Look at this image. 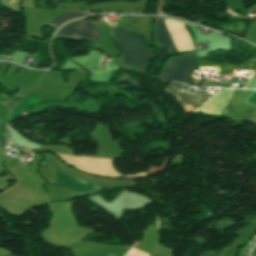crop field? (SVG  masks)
I'll list each match as a JSON object with an SVG mask.
<instances>
[{"instance_id":"crop-field-10","label":"crop field","mask_w":256,"mask_h":256,"mask_svg":"<svg viewBox=\"0 0 256 256\" xmlns=\"http://www.w3.org/2000/svg\"><path fill=\"white\" fill-rule=\"evenodd\" d=\"M6 142V124L0 121V143L4 145Z\"/></svg>"},{"instance_id":"crop-field-4","label":"crop field","mask_w":256,"mask_h":256,"mask_svg":"<svg viewBox=\"0 0 256 256\" xmlns=\"http://www.w3.org/2000/svg\"><path fill=\"white\" fill-rule=\"evenodd\" d=\"M52 173H53L54 182L63 184L65 186L75 190L80 195L86 194L89 192H93L100 188V187L92 185L90 183H87V182L78 180L76 178L67 176L65 174H62L58 171L52 170Z\"/></svg>"},{"instance_id":"crop-field-3","label":"crop field","mask_w":256,"mask_h":256,"mask_svg":"<svg viewBox=\"0 0 256 256\" xmlns=\"http://www.w3.org/2000/svg\"><path fill=\"white\" fill-rule=\"evenodd\" d=\"M186 87L187 86L181 85L179 83H172L164 91L174 96L177 102L183 108L191 105L194 111L214 97V96L194 95V94L184 93L183 91L185 90Z\"/></svg>"},{"instance_id":"crop-field-2","label":"crop field","mask_w":256,"mask_h":256,"mask_svg":"<svg viewBox=\"0 0 256 256\" xmlns=\"http://www.w3.org/2000/svg\"><path fill=\"white\" fill-rule=\"evenodd\" d=\"M195 67L194 57L173 60L166 67L161 81H178L186 84Z\"/></svg>"},{"instance_id":"crop-field-6","label":"crop field","mask_w":256,"mask_h":256,"mask_svg":"<svg viewBox=\"0 0 256 256\" xmlns=\"http://www.w3.org/2000/svg\"><path fill=\"white\" fill-rule=\"evenodd\" d=\"M156 37L161 43L166 44L175 50V46L172 40V36L166 18H157Z\"/></svg>"},{"instance_id":"crop-field-13","label":"crop field","mask_w":256,"mask_h":256,"mask_svg":"<svg viewBox=\"0 0 256 256\" xmlns=\"http://www.w3.org/2000/svg\"><path fill=\"white\" fill-rule=\"evenodd\" d=\"M8 256H11V255H8Z\"/></svg>"},{"instance_id":"crop-field-12","label":"crop field","mask_w":256,"mask_h":256,"mask_svg":"<svg viewBox=\"0 0 256 256\" xmlns=\"http://www.w3.org/2000/svg\"><path fill=\"white\" fill-rule=\"evenodd\" d=\"M13 1H14V0H12V1L10 2V4H12ZM15 1H16V0H15ZM15 1H14V2H15ZM14 2H13V4H14Z\"/></svg>"},{"instance_id":"crop-field-1","label":"crop field","mask_w":256,"mask_h":256,"mask_svg":"<svg viewBox=\"0 0 256 256\" xmlns=\"http://www.w3.org/2000/svg\"><path fill=\"white\" fill-rule=\"evenodd\" d=\"M139 37L138 32L114 28L113 38L125 53L126 65L146 72L152 52Z\"/></svg>"},{"instance_id":"crop-field-11","label":"crop field","mask_w":256,"mask_h":256,"mask_svg":"<svg viewBox=\"0 0 256 256\" xmlns=\"http://www.w3.org/2000/svg\"><path fill=\"white\" fill-rule=\"evenodd\" d=\"M127 254L130 256H149L147 253L137 250L135 248L131 249L129 252H127Z\"/></svg>"},{"instance_id":"crop-field-7","label":"crop field","mask_w":256,"mask_h":256,"mask_svg":"<svg viewBox=\"0 0 256 256\" xmlns=\"http://www.w3.org/2000/svg\"><path fill=\"white\" fill-rule=\"evenodd\" d=\"M41 100L27 94L22 100L21 102L14 108V110L11 112L10 116H9V120H13L14 118H16L18 115H20L21 113H23L25 111V109L35 103H39Z\"/></svg>"},{"instance_id":"crop-field-9","label":"crop field","mask_w":256,"mask_h":256,"mask_svg":"<svg viewBox=\"0 0 256 256\" xmlns=\"http://www.w3.org/2000/svg\"><path fill=\"white\" fill-rule=\"evenodd\" d=\"M28 91V89L19 88L18 92L12 96L9 100L2 102L4 105H6L9 109V111L12 109V107L19 101V99Z\"/></svg>"},{"instance_id":"crop-field-8","label":"crop field","mask_w":256,"mask_h":256,"mask_svg":"<svg viewBox=\"0 0 256 256\" xmlns=\"http://www.w3.org/2000/svg\"><path fill=\"white\" fill-rule=\"evenodd\" d=\"M85 15H89V14H82V13H77V12H68V13L60 15V16L56 17L55 19H53L49 23V25L57 28L62 23L66 22V21H68L70 19L81 17V16H85Z\"/></svg>"},{"instance_id":"crop-field-5","label":"crop field","mask_w":256,"mask_h":256,"mask_svg":"<svg viewBox=\"0 0 256 256\" xmlns=\"http://www.w3.org/2000/svg\"><path fill=\"white\" fill-rule=\"evenodd\" d=\"M95 31L96 24L80 21L69 25L61 33L95 39Z\"/></svg>"}]
</instances>
